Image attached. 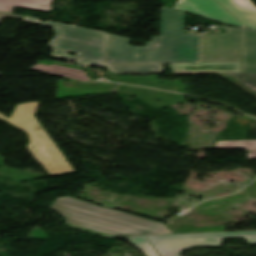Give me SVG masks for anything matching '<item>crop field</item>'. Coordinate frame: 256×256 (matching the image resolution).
<instances>
[{"label": "crop field", "instance_id": "obj_1", "mask_svg": "<svg viewBox=\"0 0 256 256\" xmlns=\"http://www.w3.org/2000/svg\"><path fill=\"white\" fill-rule=\"evenodd\" d=\"M185 13L163 6L161 37L146 47L130 46V39L111 34L106 59L111 64L198 62L199 36L184 35Z\"/></svg>", "mask_w": 256, "mask_h": 256}, {"label": "crop field", "instance_id": "obj_2", "mask_svg": "<svg viewBox=\"0 0 256 256\" xmlns=\"http://www.w3.org/2000/svg\"><path fill=\"white\" fill-rule=\"evenodd\" d=\"M66 220L63 225L83 229L107 238L173 233L165 225L113 209L58 197L50 207Z\"/></svg>", "mask_w": 256, "mask_h": 256}, {"label": "crop field", "instance_id": "obj_3", "mask_svg": "<svg viewBox=\"0 0 256 256\" xmlns=\"http://www.w3.org/2000/svg\"><path fill=\"white\" fill-rule=\"evenodd\" d=\"M38 18L25 16L23 21L54 29L55 39L49 43L53 50L49 56L77 62L78 65L91 67L104 66L105 53L110 34L85 28L38 21ZM68 50L78 53L77 56L67 54Z\"/></svg>", "mask_w": 256, "mask_h": 256}, {"label": "crop field", "instance_id": "obj_4", "mask_svg": "<svg viewBox=\"0 0 256 256\" xmlns=\"http://www.w3.org/2000/svg\"><path fill=\"white\" fill-rule=\"evenodd\" d=\"M38 104H17L10 118L2 114L0 118L27 132L30 143L26 147L49 176L75 172L35 119Z\"/></svg>", "mask_w": 256, "mask_h": 256}, {"label": "crop field", "instance_id": "obj_5", "mask_svg": "<svg viewBox=\"0 0 256 256\" xmlns=\"http://www.w3.org/2000/svg\"><path fill=\"white\" fill-rule=\"evenodd\" d=\"M161 256H179L194 246H219L222 238L243 237L256 244V231L146 236Z\"/></svg>", "mask_w": 256, "mask_h": 256}, {"label": "crop field", "instance_id": "obj_6", "mask_svg": "<svg viewBox=\"0 0 256 256\" xmlns=\"http://www.w3.org/2000/svg\"><path fill=\"white\" fill-rule=\"evenodd\" d=\"M217 36L202 35L201 62L240 61L238 29Z\"/></svg>", "mask_w": 256, "mask_h": 256}, {"label": "crop field", "instance_id": "obj_7", "mask_svg": "<svg viewBox=\"0 0 256 256\" xmlns=\"http://www.w3.org/2000/svg\"><path fill=\"white\" fill-rule=\"evenodd\" d=\"M174 9L182 10L223 24L245 27L214 0H179L174 6Z\"/></svg>", "mask_w": 256, "mask_h": 256}, {"label": "crop field", "instance_id": "obj_8", "mask_svg": "<svg viewBox=\"0 0 256 256\" xmlns=\"http://www.w3.org/2000/svg\"><path fill=\"white\" fill-rule=\"evenodd\" d=\"M173 74L241 73L240 62L169 65Z\"/></svg>", "mask_w": 256, "mask_h": 256}, {"label": "crop field", "instance_id": "obj_9", "mask_svg": "<svg viewBox=\"0 0 256 256\" xmlns=\"http://www.w3.org/2000/svg\"><path fill=\"white\" fill-rule=\"evenodd\" d=\"M242 73L256 72V32L239 29Z\"/></svg>", "mask_w": 256, "mask_h": 256}, {"label": "crop field", "instance_id": "obj_10", "mask_svg": "<svg viewBox=\"0 0 256 256\" xmlns=\"http://www.w3.org/2000/svg\"><path fill=\"white\" fill-rule=\"evenodd\" d=\"M249 28L256 29V7L250 0H217Z\"/></svg>", "mask_w": 256, "mask_h": 256}, {"label": "crop field", "instance_id": "obj_11", "mask_svg": "<svg viewBox=\"0 0 256 256\" xmlns=\"http://www.w3.org/2000/svg\"><path fill=\"white\" fill-rule=\"evenodd\" d=\"M51 0H0V11L12 13L15 6L49 12Z\"/></svg>", "mask_w": 256, "mask_h": 256}, {"label": "crop field", "instance_id": "obj_12", "mask_svg": "<svg viewBox=\"0 0 256 256\" xmlns=\"http://www.w3.org/2000/svg\"><path fill=\"white\" fill-rule=\"evenodd\" d=\"M108 71L115 74H147L163 73V65H116L107 66Z\"/></svg>", "mask_w": 256, "mask_h": 256}, {"label": "crop field", "instance_id": "obj_13", "mask_svg": "<svg viewBox=\"0 0 256 256\" xmlns=\"http://www.w3.org/2000/svg\"><path fill=\"white\" fill-rule=\"evenodd\" d=\"M31 69H35L41 72L54 74L58 76L73 78L77 80L89 81L88 77L86 76L85 73H83L82 70L71 69V68H67V67H63L55 64H52L50 66L38 64L32 67Z\"/></svg>", "mask_w": 256, "mask_h": 256}, {"label": "crop field", "instance_id": "obj_14", "mask_svg": "<svg viewBox=\"0 0 256 256\" xmlns=\"http://www.w3.org/2000/svg\"><path fill=\"white\" fill-rule=\"evenodd\" d=\"M232 84L240 87L256 97V73L255 74H229L219 75Z\"/></svg>", "mask_w": 256, "mask_h": 256}, {"label": "crop field", "instance_id": "obj_15", "mask_svg": "<svg viewBox=\"0 0 256 256\" xmlns=\"http://www.w3.org/2000/svg\"><path fill=\"white\" fill-rule=\"evenodd\" d=\"M245 148L249 151H256L255 141H227L216 143L214 149Z\"/></svg>", "mask_w": 256, "mask_h": 256}, {"label": "crop field", "instance_id": "obj_16", "mask_svg": "<svg viewBox=\"0 0 256 256\" xmlns=\"http://www.w3.org/2000/svg\"><path fill=\"white\" fill-rule=\"evenodd\" d=\"M128 240L141 249L147 256H159L158 253L154 250L151 244L148 242L145 236L140 237H131Z\"/></svg>", "mask_w": 256, "mask_h": 256}, {"label": "crop field", "instance_id": "obj_17", "mask_svg": "<svg viewBox=\"0 0 256 256\" xmlns=\"http://www.w3.org/2000/svg\"><path fill=\"white\" fill-rule=\"evenodd\" d=\"M4 17L18 18V19H22V18H23L22 15H16V14H9V13L0 12V21H1Z\"/></svg>", "mask_w": 256, "mask_h": 256}, {"label": "crop field", "instance_id": "obj_18", "mask_svg": "<svg viewBox=\"0 0 256 256\" xmlns=\"http://www.w3.org/2000/svg\"><path fill=\"white\" fill-rule=\"evenodd\" d=\"M250 196L256 198V182L248 187Z\"/></svg>", "mask_w": 256, "mask_h": 256}, {"label": "crop field", "instance_id": "obj_19", "mask_svg": "<svg viewBox=\"0 0 256 256\" xmlns=\"http://www.w3.org/2000/svg\"><path fill=\"white\" fill-rule=\"evenodd\" d=\"M248 159H256V152H250V154H248Z\"/></svg>", "mask_w": 256, "mask_h": 256}, {"label": "crop field", "instance_id": "obj_20", "mask_svg": "<svg viewBox=\"0 0 256 256\" xmlns=\"http://www.w3.org/2000/svg\"><path fill=\"white\" fill-rule=\"evenodd\" d=\"M218 27H228V26H218Z\"/></svg>", "mask_w": 256, "mask_h": 256}, {"label": "crop field", "instance_id": "obj_21", "mask_svg": "<svg viewBox=\"0 0 256 256\" xmlns=\"http://www.w3.org/2000/svg\"><path fill=\"white\" fill-rule=\"evenodd\" d=\"M1 75V74H0Z\"/></svg>", "mask_w": 256, "mask_h": 256}]
</instances>
